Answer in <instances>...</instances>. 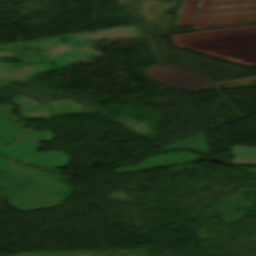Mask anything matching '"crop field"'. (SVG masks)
<instances>
[{
  "mask_svg": "<svg viewBox=\"0 0 256 256\" xmlns=\"http://www.w3.org/2000/svg\"><path fill=\"white\" fill-rule=\"evenodd\" d=\"M175 147H189L207 154L210 153L202 133L196 136L190 137L188 139L182 140L180 142L174 143L172 145H169L163 149L175 148Z\"/></svg>",
  "mask_w": 256,
  "mask_h": 256,
  "instance_id": "obj_1",
  "label": "crop field"
},
{
  "mask_svg": "<svg viewBox=\"0 0 256 256\" xmlns=\"http://www.w3.org/2000/svg\"><path fill=\"white\" fill-rule=\"evenodd\" d=\"M230 150H234L232 153H230L232 155L256 157V148L235 146L230 148Z\"/></svg>",
  "mask_w": 256,
  "mask_h": 256,
  "instance_id": "obj_2",
  "label": "crop field"
},
{
  "mask_svg": "<svg viewBox=\"0 0 256 256\" xmlns=\"http://www.w3.org/2000/svg\"><path fill=\"white\" fill-rule=\"evenodd\" d=\"M232 162L256 163V158L235 156V159Z\"/></svg>",
  "mask_w": 256,
  "mask_h": 256,
  "instance_id": "obj_3",
  "label": "crop field"
}]
</instances>
